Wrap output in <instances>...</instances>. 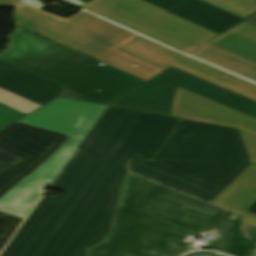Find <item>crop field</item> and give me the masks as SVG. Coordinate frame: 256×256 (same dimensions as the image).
I'll return each mask as SVG.
<instances>
[{
  "label": "crop field",
  "mask_w": 256,
  "mask_h": 256,
  "mask_svg": "<svg viewBox=\"0 0 256 256\" xmlns=\"http://www.w3.org/2000/svg\"><path fill=\"white\" fill-rule=\"evenodd\" d=\"M108 107L1 256H85L109 233L128 171L210 203L250 164L238 130Z\"/></svg>",
  "instance_id": "1"
},
{
  "label": "crop field",
  "mask_w": 256,
  "mask_h": 256,
  "mask_svg": "<svg viewBox=\"0 0 256 256\" xmlns=\"http://www.w3.org/2000/svg\"><path fill=\"white\" fill-rule=\"evenodd\" d=\"M212 250L256 256V222L128 172L111 234L88 256H180L208 231Z\"/></svg>",
  "instance_id": "2"
},
{
  "label": "crop field",
  "mask_w": 256,
  "mask_h": 256,
  "mask_svg": "<svg viewBox=\"0 0 256 256\" xmlns=\"http://www.w3.org/2000/svg\"><path fill=\"white\" fill-rule=\"evenodd\" d=\"M16 14L19 26L145 81L165 69L117 48L165 68L172 65L256 101L255 84L168 49L83 10L65 20L18 3ZM133 64L137 66L134 67ZM222 74L225 76L219 77Z\"/></svg>",
  "instance_id": "3"
},
{
  "label": "crop field",
  "mask_w": 256,
  "mask_h": 256,
  "mask_svg": "<svg viewBox=\"0 0 256 256\" xmlns=\"http://www.w3.org/2000/svg\"><path fill=\"white\" fill-rule=\"evenodd\" d=\"M10 38L0 57L66 86L63 97L109 105L145 82L21 28Z\"/></svg>",
  "instance_id": "4"
},
{
  "label": "crop field",
  "mask_w": 256,
  "mask_h": 256,
  "mask_svg": "<svg viewBox=\"0 0 256 256\" xmlns=\"http://www.w3.org/2000/svg\"><path fill=\"white\" fill-rule=\"evenodd\" d=\"M80 7L186 54L218 35L141 0H92Z\"/></svg>",
  "instance_id": "5"
},
{
  "label": "crop field",
  "mask_w": 256,
  "mask_h": 256,
  "mask_svg": "<svg viewBox=\"0 0 256 256\" xmlns=\"http://www.w3.org/2000/svg\"><path fill=\"white\" fill-rule=\"evenodd\" d=\"M177 86L256 118V102L174 67L114 103L113 106L170 116Z\"/></svg>",
  "instance_id": "6"
},
{
  "label": "crop field",
  "mask_w": 256,
  "mask_h": 256,
  "mask_svg": "<svg viewBox=\"0 0 256 256\" xmlns=\"http://www.w3.org/2000/svg\"><path fill=\"white\" fill-rule=\"evenodd\" d=\"M68 135L15 123L0 132V147L22 158L16 165L0 172V196L48 159ZM22 219L0 213V251Z\"/></svg>",
  "instance_id": "7"
},
{
  "label": "crop field",
  "mask_w": 256,
  "mask_h": 256,
  "mask_svg": "<svg viewBox=\"0 0 256 256\" xmlns=\"http://www.w3.org/2000/svg\"><path fill=\"white\" fill-rule=\"evenodd\" d=\"M239 129L251 163L256 164V119L177 87L172 115Z\"/></svg>",
  "instance_id": "8"
},
{
  "label": "crop field",
  "mask_w": 256,
  "mask_h": 256,
  "mask_svg": "<svg viewBox=\"0 0 256 256\" xmlns=\"http://www.w3.org/2000/svg\"><path fill=\"white\" fill-rule=\"evenodd\" d=\"M107 107L57 98L18 122L84 139Z\"/></svg>",
  "instance_id": "9"
},
{
  "label": "crop field",
  "mask_w": 256,
  "mask_h": 256,
  "mask_svg": "<svg viewBox=\"0 0 256 256\" xmlns=\"http://www.w3.org/2000/svg\"><path fill=\"white\" fill-rule=\"evenodd\" d=\"M81 141L73 137L67 140L38 169L0 198V210L26 218L42 196L44 185L52 182Z\"/></svg>",
  "instance_id": "10"
},
{
  "label": "crop field",
  "mask_w": 256,
  "mask_h": 256,
  "mask_svg": "<svg viewBox=\"0 0 256 256\" xmlns=\"http://www.w3.org/2000/svg\"><path fill=\"white\" fill-rule=\"evenodd\" d=\"M0 87L41 105L57 98L65 88L1 58Z\"/></svg>",
  "instance_id": "11"
},
{
  "label": "crop field",
  "mask_w": 256,
  "mask_h": 256,
  "mask_svg": "<svg viewBox=\"0 0 256 256\" xmlns=\"http://www.w3.org/2000/svg\"><path fill=\"white\" fill-rule=\"evenodd\" d=\"M217 33H222L242 19L200 0H144ZM175 15V16H176Z\"/></svg>",
  "instance_id": "12"
},
{
  "label": "crop field",
  "mask_w": 256,
  "mask_h": 256,
  "mask_svg": "<svg viewBox=\"0 0 256 256\" xmlns=\"http://www.w3.org/2000/svg\"><path fill=\"white\" fill-rule=\"evenodd\" d=\"M255 203V165H250L220 196L211 202V204L256 221V215L247 212Z\"/></svg>",
  "instance_id": "13"
},
{
  "label": "crop field",
  "mask_w": 256,
  "mask_h": 256,
  "mask_svg": "<svg viewBox=\"0 0 256 256\" xmlns=\"http://www.w3.org/2000/svg\"><path fill=\"white\" fill-rule=\"evenodd\" d=\"M208 43L256 62V27L245 22Z\"/></svg>",
  "instance_id": "14"
},
{
  "label": "crop field",
  "mask_w": 256,
  "mask_h": 256,
  "mask_svg": "<svg viewBox=\"0 0 256 256\" xmlns=\"http://www.w3.org/2000/svg\"><path fill=\"white\" fill-rule=\"evenodd\" d=\"M192 56L256 81V63L214 45H207Z\"/></svg>",
  "instance_id": "15"
},
{
  "label": "crop field",
  "mask_w": 256,
  "mask_h": 256,
  "mask_svg": "<svg viewBox=\"0 0 256 256\" xmlns=\"http://www.w3.org/2000/svg\"><path fill=\"white\" fill-rule=\"evenodd\" d=\"M242 19L256 12V0H202Z\"/></svg>",
  "instance_id": "16"
},
{
  "label": "crop field",
  "mask_w": 256,
  "mask_h": 256,
  "mask_svg": "<svg viewBox=\"0 0 256 256\" xmlns=\"http://www.w3.org/2000/svg\"><path fill=\"white\" fill-rule=\"evenodd\" d=\"M0 102L14 109H17L25 114L33 111L41 105L26 100L22 97L9 93L0 88Z\"/></svg>",
  "instance_id": "17"
},
{
  "label": "crop field",
  "mask_w": 256,
  "mask_h": 256,
  "mask_svg": "<svg viewBox=\"0 0 256 256\" xmlns=\"http://www.w3.org/2000/svg\"><path fill=\"white\" fill-rule=\"evenodd\" d=\"M25 114L0 103V130Z\"/></svg>",
  "instance_id": "18"
},
{
  "label": "crop field",
  "mask_w": 256,
  "mask_h": 256,
  "mask_svg": "<svg viewBox=\"0 0 256 256\" xmlns=\"http://www.w3.org/2000/svg\"><path fill=\"white\" fill-rule=\"evenodd\" d=\"M19 159L21 158L5 150L0 149V171L12 165Z\"/></svg>",
  "instance_id": "19"
},
{
  "label": "crop field",
  "mask_w": 256,
  "mask_h": 256,
  "mask_svg": "<svg viewBox=\"0 0 256 256\" xmlns=\"http://www.w3.org/2000/svg\"><path fill=\"white\" fill-rule=\"evenodd\" d=\"M19 2H20V3H23V4H26V5H29V6H31V7L40 9V10H42V9H44V8L46 7V6H44V5L39 4V3H41V2H39V1H37V0H21V1H19Z\"/></svg>",
  "instance_id": "20"
},
{
  "label": "crop field",
  "mask_w": 256,
  "mask_h": 256,
  "mask_svg": "<svg viewBox=\"0 0 256 256\" xmlns=\"http://www.w3.org/2000/svg\"><path fill=\"white\" fill-rule=\"evenodd\" d=\"M187 256H222V255L211 253V252H194Z\"/></svg>",
  "instance_id": "21"
},
{
  "label": "crop field",
  "mask_w": 256,
  "mask_h": 256,
  "mask_svg": "<svg viewBox=\"0 0 256 256\" xmlns=\"http://www.w3.org/2000/svg\"><path fill=\"white\" fill-rule=\"evenodd\" d=\"M15 1L12 0H0V6H14Z\"/></svg>",
  "instance_id": "22"
},
{
  "label": "crop field",
  "mask_w": 256,
  "mask_h": 256,
  "mask_svg": "<svg viewBox=\"0 0 256 256\" xmlns=\"http://www.w3.org/2000/svg\"><path fill=\"white\" fill-rule=\"evenodd\" d=\"M246 22L256 25V15L248 19Z\"/></svg>",
  "instance_id": "23"
},
{
  "label": "crop field",
  "mask_w": 256,
  "mask_h": 256,
  "mask_svg": "<svg viewBox=\"0 0 256 256\" xmlns=\"http://www.w3.org/2000/svg\"><path fill=\"white\" fill-rule=\"evenodd\" d=\"M67 1L73 3V4L77 5V6H80V5H82V4H85V3H83V2H81V1H79V0H67Z\"/></svg>",
  "instance_id": "24"
},
{
  "label": "crop field",
  "mask_w": 256,
  "mask_h": 256,
  "mask_svg": "<svg viewBox=\"0 0 256 256\" xmlns=\"http://www.w3.org/2000/svg\"><path fill=\"white\" fill-rule=\"evenodd\" d=\"M17 1H19V0H17Z\"/></svg>",
  "instance_id": "25"
}]
</instances>
